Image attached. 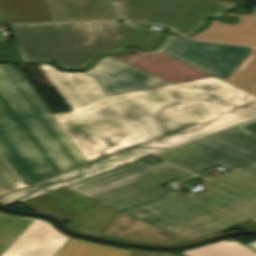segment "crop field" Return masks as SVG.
I'll return each instance as SVG.
<instances>
[{
  "label": "crop field",
  "mask_w": 256,
  "mask_h": 256,
  "mask_svg": "<svg viewBox=\"0 0 256 256\" xmlns=\"http://www.w3.org/2000/svg\"><path fill=\"white\" fill-rule=\"evenodd\" d=\"M40 69L72 112L51 114L88 163L131 146L173 148L256 118V97L215 77L107 96L94 77Z\"/></svg>",
  "instance_id": "1"
},
{
  "label": "crop field",
  "mask_w": 256,
  "mask_h": 256,
  "mask_svg": "<svg viewBox=\"0 0 256 256\" xmlns=\"http://www.w3.org/2000/svg\"><path fill=\"white\" fill-rule=\"evenodd\" d=\"M156 157L204 178L213 175L204 169L216 164L231 171L204 181V194L190 198L179 191L118 212L100 237L180 245L231 228L256 229V139L230 129Z\"/></svg>",
  "instance_id": "2"
},
{
  "label": "crop field",
  "mask_w": 256,
  "mask_h": 256,
  "mask_svg": "<svg viewBox=\"0 0 256 256\" xmlns=\"http://www.w3.org/2000/svg\"><path fill=\"white\" fill-rule=\"evenodd\" d=\"M53 118L15 66L0 65V152L26 186L87 164Z\"/></svg>",
  "instance_id": "3"
},
{
  "label": "crop field",
  "mask_w": 256,
  "mask_h": 256,
  "mask_svg": "<svg viewBox=\"0 0 256 256\" xmlns=\"http://www.w3.org/2000/svg\"><path fill=\"white\" fill-rule=\"evenodd\" d=\"M23 62L56 61L62 68L83 69L96 54L119 53L128 44L152 48L160 39L145 30L116 22L12 26Z\"/></svg>",
  "instance_id": "4"
},
{
  "label": "crop field",
  "mask_w": 256,
  "mask_h": 256,
  "mask_svg": "<svg viewBox=\"0 0 256 256\" xmlns=\"http://www.w3.org/2000/svg\"><path fill=\"white\" fill-rule=\"evenodd\" d=\"M52 22L129 19L165 24L185 35L205 25L208 15L236 4L205 0H45Z\"/></svg>",
  "instance_id": "5"
},
{
  "label": "crop field",
  "mask_w": 256,
  "mask_h": 256,
  "mask_svg": "<svg viewBox=\"0 0 256 256\" xmlns=\"http://www.w3.org/2000/svg\"><path fill=\"white\" fill-rule=\"evenodd\" d=\"M172 169L162 164L150 167L140 160L23 201L35 212L67 221L103 205L89 199L96 195Z\"/></svg>",
  "instance_id": "6"
},
{
  "label": "crop field",
  "mask_w": 256,
  "mask_h": 256,
  "mask_svg": "<svg viewBox=\"0 0 256 256\" xmlns=\"http://www.w3.org/2000/svg\"><path fill=\"white\" fill-rule=\"evenodd\" d=\"M69 238L46 221L0 212V256H54Z\"/></svg>",
  "instance_id": "7"
},
{
  "label": "crop field",
  "mask_w": 256,
  "mask_h": 256,
  "mask_svg": "<svg viewBox=\"0 0 256 256\" xmlns=\"http://www.w3.org/2000/svg\"><path fill=\"white\" fill-rule=\"evenodd\" d=\"M251 49L167 36L156 51L177 58L225 81Z\"/></svg>",
  "instance_id": "8"
},
{
  "label": "crop field",
  "mask_w": 256,
  "mask_h": 256,
  "mask_svg": "<svg viewBox=\"0 0 256 256\" xmlns=\"http://www.w3.org/2000/svg\"><path fill=\"white\" fill-rule=\"evenodd\" d=\"M165 149H128L120 154L105 158L103 160L85 165L70 172L64 173L34 186L11 193L0 198V203L8 206L19 201L43 194L53 189L66 186L78 180L104 172L106 170L129 164L138 159L145 158Z\"/></svg>",
  "instance_id": "9"
},
{
  "label": "crop field",
  "mask_w": 256,
  "mask_h": 256,
  "mask_svg": "<svg viewBox=\"0 0 256 256\" xmlns=\"http://www.w3.org/2000/svg\"><path fill=\"white\" fill-rule=\"evenodd\" d=\"M85 73L94 76L107 95L169 85L121 60L109 57L100 58Z\"/></svg>",
  "instance_id": "10"
},
{
  "label": "crop field",
  "mask_w": 256,
  "mask_h": 256,
  "mask_svg": "<svg viewBox=\"0 0 256 256\" xmlns=\"http://www.w3.org/2000/svg\"><path fill=\"white\" fill-rule=\"evenodd\" d=\"M193 174L175 168L111 192L91 198L103 205L117 211H124L135 206L170 195L158 185H162L170 180H180Z\"/></svg>",
  "instance_id": "11"
},
{
  "label": "crop field",
  "mask_w": 256,
  "mask_h": 256,
  "mask_svg": "<svg viewBox=\"0 0 256 256\" xmlns=\"http://www.w3.org/2000/svg\"><path fill=\"white\" fill-rule=\"evenodd\" d=\"M51 22L44 0H0V24Z\"/></svg>",
  "instance_id": "12"
},
{
  "label": "crop field",
  "mask_w": 256,
  "mask_h": 256,
  "mask_svg": "<svg viewBox=\"0 0 256 256\" xmlns=\"http://www.w3.org/2000/svg\"><path fill=\"white\" fill-rule=\"evenodd\" d=\"M117 211L103 206L85 215L71 220L68 224L73 230L92 236H99L107 227Z\"/></svg>",
  "instance_id": "13"
},
{
  "label": "crop field",
  "mask_w": 256,
  "mask_h": 256,
  "mask_svg": "<svg viewBox=\"0 0 256 256\" xmlns=\"http://www.w3.org/2000/svg\"><path fill=\"white\" fill-rule=\"evenodd\" d=\"M131 251L70 238L55 256H127Z\"/></svg>",
  "instance_id": "14"
},
{
  "label": "crop field",
  "mask_w": 256,
  "mask_h": 256,
  "mask_svg": "<svg viewBox=\"0 0 256 256\" xmlns=\"http://www.w3.org/2000/svg\"><path fill=\"white\" fill-rule=\"evenodd\" d=\"M186 256H256V253L247 247L231 241L217 242L199 249L183 252Z\"/></svg>",
  "instance_id": "15"
},
{
  "label": "crop field",
  "mask_w": 256,
  "mask_h": 256,
  "mask_svg": "<svg viewBox=\"0 0 256 256\" xmlns=\"http://www.w3.org/2000/svg\"><path fill=\"white\" fill-rule=\"evenodd\" d=\"M25 187L0 153V196Z\"/></svg>",
  "instance_id": "16"
},
{
  "label": "crop field",
  "mask_w": 256,
  "mask_h": 256,
  "mask_svg": "<svg viewBox=\"0 0 256 256\" xmlns=\"http://www.w3.org/2000/svg\"><path fill=\"white\" fill-rule=\"evenodd\" d=\"M235 128H238V129H240L244 132H247L251 135L256 136V120L251 121V122L246 123V124H243V125H240V126L235 127Z\"/></svg>",
  "instance_id": "17"
},
{
  "label": "crop field",
  "mask_w": 256,
  "mask_h": 256,
  "mask_svg": "<svg viewBox=\"0 0 256 256\" xmlns=\"http://www.w3.org/2000/svg\"><path fill=\"white\" fill-rule=\"evenodd\" d=\"M129 256H173V255L168 253H155V252L134 250Z\"/></svg>",
  "instance_id": "18"
},
{
  "label": "crop field",
  "mask_w": 256,
  "mask_h": 256,
  "mask_svg": "<svg viewBox=\"0 0 256 256\" xmlns=\"http://www.w3.org/2000/svg\"><path fill=\"white\" fill-rule=\"evenodd\" d=\"M213 1H222V2H231V3H240L243 0H213Z\"/></svg>",
  "instance_id": "19"
},
{
  "label": "crop field",
  "mask_w": 256,
  "mask_h": 256,
  "mask_svg": "<svg viewBox=\"0 0 256 256\" xmlns=\"http://www.w3.org/2000/svg\"><path fill=\"white\" fill-rule=\"evenodd\" d=\"M135 26L142 27V28H148L150 25L142 24V23H136Z\"/></svg>",
  "instance_id": "20"
},
{
  "label": "crop field",
  "mask_w": 256,
  "mask_h": 256,
  "mask_svg": "<svg viewBox=\"0 0 256 256\" xmlns=\"http://www.w3.org/2000/svg\"><path fill=\"white\" fill-rule=\"evenodd\" d=\"M246 245L256 250V241L255 242H250Z\"/></svg>",
  "instance_id": "21"
}]
</instances>
